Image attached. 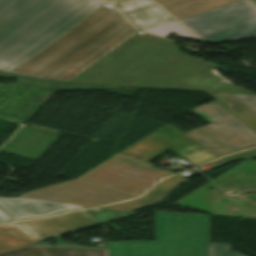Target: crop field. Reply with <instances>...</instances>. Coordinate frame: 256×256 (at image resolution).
<instances>
[{
    "instance_id": "8a807250",
    "label": "crop field",
    "mask_w": 256,
    "mask_h": 256,
    "mask_svg": "<svg viewBox=\"0 0 256 256\" xmlns=\"http://www.w3.org/2000/svg\"><path fill=\"white\" fill-rule=\"evenodd\" d=\"M170 149L194 166L216 157L178 129L167 125L76 180L24 193L21 197L88 206L134 197L159 176L171 173L148 163Z\"/></svg>"
},
{
    "instance_id": "ac0d7876",
    "label": "crop field",
    "mask_w": 256,
    "mask_h": 256,
    "mask_svg": "<svg viewBox=\"0 0 256 256\" xmlns=\"http://www.w3.org/2000/svg\"><path fill=\"white\" fill-rule=\"evenodd\" d=\"M121 14L100 7L10 72L70 81L137 32Z\"/></svg>"
},
{
    "instance_id": "34b2d1b8",
    "label": "crop field",
    "mask_w": 256,
    "mask_h": 256,
    "mask_svg": "<svg viewBox=\"0 0 256 256\" xmlns=\"http://www.w3.org/2000/svg\"><path fill=\"white\" fill-rule=\"evenodd\" d=\"M204 63L169 40L136 33L72 81L171 89Z\"/></svg>"
},
{
    "instance_id": "412701ff",
    "label": "crop field",
    "mask_w": 256,
    "mask_h": 256,
    "mask_svg": "<svg viewBox=\"0 0 256 256\" xmlns=\"http://www.w3.org/2000/svg\"><path fill=\"white\" fill-rule=\"evenodd\" d=\"M103 4L61 0L0 45V70L9 72Z\"/></svg>"
},
{
    "instance_id": "f4fd0767",
    "label": "crop field",
    "mask_w": 256,
    "mask_h": 256,
    "mask_svg": "<svg viewBox=\"0 0 256 256\" xmlns=\"http://www.w3.org/2000/svg\"><path fill=\"white\" fill-rule=\"evenodd\" d=\"M209 216L155 211L153 256H208Z\"/></svg>"
},
{
    "instance_id": "dd49c442",
    "label": "crop field",
    "mask_w": 256,
    "mask_h": 256,
    "mask_svg": "<svg viewBox=\"0 0 256 256\" xmlns=\"http://www.w3.org/2000/svg\"><path fill=\"white\" fill-rule=\"evenodd\" d=\"M256 7V0H248ZM180 21L203 40L216 44L256 37V10L244 0Z\"/></svg>"
},
{
    "instance_id": "e52e79f7",
    "label": "crop field",
    "mask_w": 256,
    "mask_h": 256,
    "mask_svg": "<svg viewBox=\"0 0 256 256\" xmlns=\"http://www.w3.org/2000/svg\"><path fill=\"white\" fill-rule=\"evenodd\" d=\"M191 111L211 124L185 134L215 155L227 154L256 144V134L215 101Z\"/></svg>"
},
{
    "instance_id": "d8731c3e",
    "label": "crop field",
    "mask_w": 256,
    "mask_h": 256,
    "mask_svg": "<svg viewBox=\"0 0 256 256\" xmlns=\"http://www.w3.org/2000/svg\"><path fill=\"white\" fill-rule=\"evenodd\" d=\"M60 0H0V44Z\"/></svg>"
},
{
    "instance_id": "5a996713",
    "label": "crop field",
    "mask_w": 256,
    "mask_h": 256,
    "mask_svg": "<svg viewBox=\"0 0 256 256\" xmlns=\"http://www.w3.org/2000/svg\"><path fill=\"white\" fill-rule=\"evenodd\" d=\"M40 240L97 225L82 211L64 214L49 219L19 223Z\"/></svg>"
},
{
    "instance_id": "3316defc",
    "label": "crop field",
    "mask_w": 256,
    "mask_h": 256,
    "mask_svg": "<svg viewBox=\"0 0 256 256\" xmlns=\"http://www.w3.org/2000/svg\"><path fill=\"white\" fill-rule=\"evenodd\" d=\"M0 207L17 220L24 218L43 217L53 213L88 206L48 202L21 197H0Z\"/></svg>"
},
{
    "instance_id": "28ad6ade",
    "label": "crop field",
    "mask_w": 256,
    "mask_h": 256,
    "mask_svg": "<svg viewBox=\"0 0 256 256\" xmlns=\"http://www.w3.org/2000/svg\"><path fill=\"white\" fill-rule=\"evenodd\" d=\"M0 256H106L104 247H81L68 242L50 246L42 241L0 252Z\"/></svg>"
},
{
    "instance_id": "d1516ede",
    "label": "crop field",
    "mask_w": 256,
    "mask_h": 256,
    "mask_svg": "<svg viewBox=\"0 0 256 256\" xmlns=\"http://www.w3.org/2000/svg\"><path fill=\"white\" fill-rule=\"evenodd\" d=\"M217 66L207 62L195 73L190 75L173 89L201 92L238 93L255 95L232 84L219 83L223 78L215 75L212 70Z\"/></svg>"
},
{
    "instance_id": "22f410ed",
    "label": "crop field",
    "mask_w": 256,
    "mask_h": 256,
    "mask_svg": "<svg viewBox=\"0 0 256 256\" xmlns=\"http://www.w3.org/2000/svg\"><path fill=\"white\" fill-rule=\"evenodd\" d=\"M118 8L140 30L174 21L172 17L151 0H137L120 5Z\"/></svg>"
},
{
    "instance_id": "cbeb9de0",
    "label": "crop field",
    "mask_w": 256,
    "mask_h": 256,
    "mask_svg": "<svg viewBox=\"0 0 256 256\" xmlns=\"http://www.w3.org/2000/svg\"><path fill=\"white\" fill-rule=\"evenodd\" d=\"M185 181H187L185 178L174 175L172 177L160 181L154 188H152L147 194H145L143 197L139 199L115 205L105 206L102 208L130 211L137 208L145 207L160 201L171 190H173L174 188H176Z\"/></svg>"
},
{
    "instance_id": "5142ce71",
    "label": "crop field",
    "mask_w": 256,
    "mask_h": 256,
    "mask_svg": "<svg viewBox=\"0 0 256 256\" xmlns=\"http://www.w3.org/2000/svg\"><path fill=\"white\" fill-rule=\"evenodd\" d=\"M178 19L239 0H155ZM171 14V15H172ZM176 18V19H177Z\"/></svg>"
},
{
    "instance_id": "d9b57169",
    "label": "crop field",
    "mask_w": 256,
    "mask_h": 256,
    "mask_svg": "<svg viewBox=\"0 0 256 256\" xmlns=\"http://www.w3.org/2000/svg\"><path fill=\"white\" fill-rule=\"evenodd\" d=\"M36 237L17 223L0 226V251L38 242Z\"/></svg>"
},
{
    "instance_id": "733c2abd",
    "label": "crop field",
    "mask_w": 256,
    "mask_h": 256,
    "mask_svg": "<svg viewBox=\"0 0 256 256\" xmlns=\"http://www.w3.org/2000/svg\"><path fill=\"white\" fill-rule=\"evenodd\" d=\"M105 252L107 256H152V241H111Z\"/></svg>"
},
{
    "instance_id": "4a817a6b",
    "label": "crop field",
    "mask_w": 256,
    "mask_h": 256,
    "mask_svg": "<svg viewBox=\"0 0 256 256\" xmlns=\"http://www.w3.org/2000/svg\"><path fill=\"white\" fill-rule=\"evenodd\" d=\"M16 83L50 89V90H56V91L90 90V89H101L102 87V85H99V84L57 82V81L38 80V79L25 78V77L17 78Z\"/></svg>"
},
{
    "instance_id": "bc2a9ffb",
    "label": "crop field",
    "mask_w": 256,
    "mask_h": 256,
    "mask_svg": "<svg viewBox=\"0 0 256 256\" xmlns=\"http://www.w3.org/2000/svg\"><path fill=\"white\" fill-rule=\"evenodd\" d=\"M223 106L229 108L244 122L256 130V114L238 101L232 94L208 93ZM228 109V110H229Z\"/></svg>"
},
{
    "instance_id": "214f88e0",
    "label": "crop field",
    "mask_w": 256,
    "mask_h": 256,
    "mask_svg": "<svg viewBox=\"0 0 256 256\" xmlns=\"http://www.w3.org/2000/svg\"><path fill=\"white\" fill-rule=\"evenodd\" d=\"M152 34L160 35V36H168L171 33H176L180 37L184 38H190V39H196L193 35H191L187 30H185L180 24H178L176 21L170 22L167 24H163L160 26H156L153 28H149L146 30H143ZM198 40V39H196Z\"/></svg>"
},
{
    "instance_id": "92a150f3",
    "label": "crop field",
    "mask_w": 256,
    "mask_h": 256,
    "mask_svg": "<svg viewBox=\"0 0 256 256\" xmlns=\"http://www.w3.org/2000/svg\"><path fill=\"white\" fill-rule=\"evenodd\" d=\"M85 212H87L91 217H93L99 223L137 214L132 212L108 210V209H102V208L89 209V210H85Z\"/></svg>"
},
{
    "instance_id": "dafd665d",
    "label": "crop field",
    "mask_w": 256,
    "mask_h": 256,
    "mask_svg": "<svg viewBox=\"0 0 256 256\" xmlns=\"http://www.w3.org/2000/svg\"><path fill=\"white\" fill-rule=\"evenodd\" d=\"M209 256H242L229 253V245L209 244Z\"/></svg>"
},
{
    "instance_id": "00972430",
    "label": "crop field",
    "mask_w": 256,
    "mask_h": 256,
    "mask_svg": "<svg viewBox=\"0 0 256 256\" xmlns=\"http://www.w3.org/2000/svg\"><path fill=\"white\" fill-rule=\"evenodd\" d=\"M233 96L236 97L238 100H240L242 103H244L246 106H248L251 110H253L256 113V97L255 96L238 95V94H233Z\"/></svg>"
},
{
    "instance_id": "a9b5d70f",
    "label": "crop field",
    "mask_w": 256,
    "mask_h": 256,
    "mask_svg": "<svg viewBox=\"0 0 256 256\" xmlns=\"http://www.w3.org/2000/svg\"><path fill=\"white\" fill-rule=\"evenodd\" d=\"M256 156V148L249 150V151H245L239 154H235V155H230V156H226L224 157L227 161L231 162L234 160H238V159H247V158H251V157H255Z\"/></svg>"
},
{
    "instance_id": "4177f3b9",
    "label": "crop field",
    "mask_w": 256,
    "mask_h": 256,
    "mask_svg": "<svg viewBox=\"0 0 256 256\" xmlns=\"http://www.w3.org/2000/svg\"><path fill=\"white\" fill-rule=\"evenodd\" d=\"M12 220L9 218L6 214H4L2 211H0V223L10 221Z\"/></svg>"
},
{
    "instance_id": "730fd06b",
    "label": "crop field",
    "mask_w": 256,
    "mask_h": 256,
    "mask_svg": "<svg viewBox=\"0 0 256 256\" xmlns=\"http://www.w3.org/2000/svg\"><path fill=\"white\" fill-rule=\"evenodd\" d=\"M0 77L17 78L18 76H14V75H10V74H6V73H3V72H0Z\"/></svg>"
},
{
    "instance_id": "eef30255",
    "label": "crop field",
    "mask_w": 256,
    "mask_h": 256,
    "mask_svg": "<svg viewBox=\"0 0 256 256\" xmlns=\"http://www.w3.org/2000/svg\"><path fill=\"white\" fill-rule=\"evenodd\" d=\"M103 1L111 2V3H122L129 0H103Z\"/></svg>"
}]
</instances>
